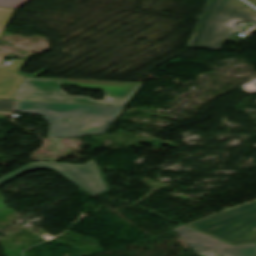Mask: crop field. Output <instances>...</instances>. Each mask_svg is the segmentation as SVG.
Here are the masks:
<instances>
[{
    "label": "crop field",
    "mask_w": 256,
    "mask_h": 256,
    "mask_svg": "<svg viewBox=\"0 0 256 256\" xmlns=\"http://www.w3.org/2000/svg\"><path fill=\"white\" fill-rule=\"evenodd\" d=\"M27 1L28 0H0V6L17 8V7H19L20 5L24 4Z\"/></svg>",
    "instance_id": "obj_11"
},
{
    "label": "crop field",
    "mask_w": 256,
    "mask_h": 256,
    "mask_svg": "<svg viewBox=\"0 0 256 256\" xmlns=\"http://www.w3.org/2000/svg\"><path fill=\"white\" fill-rule=\"evenodd\" d=\"M33 169H54L91 195L106 191L103 179L94 160L89 161L85 165L56 162H35L1 178L0 184L26 170ZM0 199L5 200L1 194Z\"/></svg>",
    "instance_id": "obj_5"
},
{
    "label": "crop field",
    "mask_w": 256,
    "mask_h": 256,
    "mask_svg": "<svg viewBox=\"0 0 256 256\" xmlns=\"http://www.w3.org/2000/svg\"><path fill=\"white\" fill-rule=\"evenodd\" d=\"M223 19L255 21L256 12L240 0H218L195 47L220 50L238 28L220 25Z\"/></svg>",
    "instance_id": "obj_4"
},
{
    "label": "crop field",
    "mask_w": 256,
    "mask_h": 256,
    "mask_svg": "<svg viewBox=\"0 0 256 256\" xmlns=\"http://www.w3.org/2000/svg\"><path fill=\"white\" fill-rule=\"evenodd\" d=\"M186 225L234 245L256 243V200Z\"/></svg>",
    "instance_id": "obj_3"
},
{
    "label": "crop field",
    "mask_w": 256,
    "mask_h": 256,
    "mask_svg": "<svg viewBox=\"0 0 256 256\" xmlns=\"http://www.w3.org/2000/svg\"><path fill=\"white\" fill-rule=\"evenodd\" d=\"M144 83L77 81L52 78H25L13 99L72 104L125 106ZM61 85L78 86L82 89H98L106 93L104 101L90 97L67 95Z\"/></svg>",
    "instance_id": "obj_2"
},
{
    "label": "crop field",
    "mask_w": 256,
    "mask_h": 256,
    "mask_svg": "<svg viewBox=\"0 0 256 256\" xmlns=\"http://www.w3.org/2000/svg\"><path fill=\"white\" fill-rule=\"evenodd\" d=\"M17 101L0 100V111L13 112Z\"/></svg>",
    "instance_id": "obj_10"
},
{
    "label": "crop field",
    "mask_w": 256,
    "mask_h": 256,
    "mask_svg": "<svg viewBox=\"0 0 256 256\" xmlns=\"http://www.w3.org/2000/svg\"><path fill=\"white\" fill-rule=\"evenodd\" d=\"M174 230L193 251L206 256H256L255 244L233 246L186 225Z\"/></svg>",
    "instance_id": "obj_6"
},
{
    "label": "crop field",
    "mask_w": 256,
    "mask_h": 256,
    "mask_svg": "<svg viewBox=\"0 0 256 256\" xmlns=\"http://www.w3.org/2000/svg\"><path fill=\"white\" fill-rule=\"evenodd\" d=\"M17 10V9H16ZM15 9L12 8H2L0 7V36L5 30L9 20L11 19ZM4 59V56L0 55V65Z\"/></svg>",
    "instance_id": "obj_9"
},
{
    "label": "crop field",
    "mask_w": 256,
    "mask_h": 256,
    "mask_svg": "<svg viewBox=\"0 0 256 256\" xmlns=\"http://www.w3.org/2000/svg\"><path fill=\"white\" fill-rule=\"evenodd\" d=\"M221 24H223V25H227V26H233V24H234V22H232V21H226V20H223V22L221 23Z\"/></svg>",
    "instance_id": "obj_12"
},
{
    "label": "crop field",
    "mask_w": 256,
    "mask_h": 256,
    "mask_svg": "<svg viewBox=\"0 0 256 256\" xmlns=\"http://www.w3.org/2000/svg\"><path fill=\"white\" fill-rule=\"evenodd\" d=\"M250 2H252L254 5H256V0H248Z\"/></svg>",
    "instance_id": "obj_13"
},
{
    "label": "crop field",
    "mask_w": 256,
    "mask_h": 256,
    "mask_svg": "<svg viewBox=\"0 0 256 256\" xmlns=\"http://www.w3.org/2000/svg\"><path fill=\"white\" fill-rule=\"evenodd\" d=\"M23 60L14 59L10 68L0 67V98L11 99L24 78L17 74Z\"/></svg>",
    "instance_id": "obj_7"
},
{
    "label": "crop field",
    "mask_w": 256,
    "mask_h": 256,
    "mask_svg": "<svg viewBox=\"0 0 256 256\" xmlns=\"http://www.w3.org/2000/svg\"><path fill=\"white\" fill-rule=\"evenodd\" d=\"M216 1L217 0H209L208 4H207V6L204 10V13H203V15H202V17L199 21V24H198L197 28L194 31L191 42L189 44L190 47H194V45H195V43H196V41H197V39H198L202 29H203V27H204L209 15H210L212 9H213Z\"/></svg>",
    "instance_id": "obj_8"
},
{
    "label": "crop field",
    "mask_w": 256,
    "mask_h": 256,
    "mask_svg": "<svg viewBox=\"0 0 256 256\" xmlns=\"http://www.w3.org/2000/svg\"><path fill=\"white\" fill-rule=\"evenodd\" d=\"M123 107L18 101L16 110L39 114L51 125L47 137H82L104 133Z\"/></svg>",
    "instance_id": "obj_1"
}]
</instances>
